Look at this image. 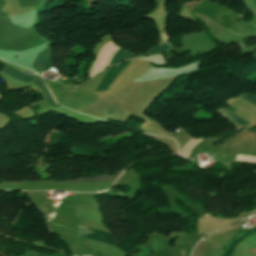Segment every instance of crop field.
Listing matches in <instances>:
<instances>
[{
	"instance_id": "crop-field-1",
	"label": "crop field",
	"mask_w": 256,
	"mask_h": 256,
	"mask_svg": "<svg viewBox=\"0 0 256 256\" xmlns=\"http://www.w3.org/2000/svg\"><path fill=\"white\" fill-rule=\"evenodd\" d=\"M218 6V4H213L210 3L208 0H204L195 9H193V12L211 18L213 12L216 10ZM236 16V14H234L231 10L227 9L226 7L219 6L217 10L214 12V15L211 20L215 21L216 23L222 25L223 27L229 30L230 23Z\"/></svg>"
},
{
	"instance_id": "crop-field-2",
	"label": "crop field",
	"mask_w": 256,
	"mask_h": 256,
	"mask_svg": "<svg viewBox=\"0 0 256 256\" xmlns=\"http://www.w3.org/2000/svg\"><path fill=\"white\" fill-rule=\"evenodd\" d=\"M79 226H83V225H79ZM79 226H78V229H79L80 237L100 241L116 247L118 246V242L111 236L109 232H105V231L94 229L87 226H85V228H83L84 226L83 227H79ZM94 253L96 254V256H109L105 253L98 252V251H94Z\"/></svg>"
},
{
	"instance_id": "crop-field-3",
	"label": "crop field",
	"mask_w": 256,
	"mask_h": 256,
	"mask_svg": "<svg viewBox=\"0 0 256 256\" xmlns=\"http://www.w3.org/2000/svg\"><path fill=\"white\" fill-rule=\"evenodd\" d=\"M133 60L114 66L109 69L108 73L106 74L105 78L98 86L96 91H105L108 90L112 83L117 79V77L123 72V70L132 62Z\"/></svg>"
},
{
	"instance_id": "crop-field-4",
	"label": "crop field",
	"mask_w": 256,
	"mask_h": 256,
	"mask_svg": "<svg viewBox=\"0 0 256 256\" xmlns=\"http://www.w3.org/2000/svg\"><path fill=\"white\" fill-rule=\"evenodd\" d=\"M169 48H170V46L168 44L157 46V47L152 48L147 55L163 53V52L168 51ZM141 56H143V55H141ZM131 57H136V56L120 49V51L114 57L110 66L115 65V64H117L125 59L131 58Z\"/></svg>"
},
{
	"instance_id": "crop-field-5",
	"label": "crop field",
	"mask_w": 256,
	"mask_h": 256,
	"mask_svg": "<svg viewBox=\"0 0 256 256\" xmlns=\"http://www.w3.org/2000/svg\"><path fill=\"white\" fill-rule=\"evenodd\" d=\"M51 58V49L41 51L37 54L32 66L38 71H46L51 64Z\"/></svg>"
},
{
	"instance_id": "crop-field-6",
	"label": "crop field",
	"mask_w": 256,
	"mask_h": 256,
	"mask_svg": "<svg viewBox=\"0 0 256 256\" xmlns=\"http://www.w3.org/2000/svg\"><path fill=\"white\" fill-rule=\"evenodd\" d=\"M3 72L7 73L8 75L17 78L19 80L25 81L29 83L31 80L35 78V76L28 74L26 72H23L19 69H16L12 66H6Z\"/></svg>"
},
{
	"instance_id": "crop-field-7",
	"label": "crop field",
	"mask_w": 256,
	"mask_h": 256,
	"mask_svg": "<svg viewBox=\"0 0 256 256\" xmlns=\"http://www.w3.org/2000/svg\"><path fill=\"white\" fill-rule=\"evenodd\" d=\"M122 171V170H121ZM120 172V171H119ZM118 172V173H119ZM117 173V174H118ZM117 174L110 176L108 174H105L103 176H98V177H93V178H78L74 181H60V182H104V181H111V180H115ZM49 182H57L54 180H51Z\"/></svg>"
},
{
	"instance_id": "crop-field-8",
	"label": "crop field",
	"mask_w": 256,
	"mask_h": 256,
	"mask_svg": "<svg viewBox=\"0 0 256 256\" xmlns=\"http://www.w3.org/2000/svg\"><path fill=\"white\" fill-rule=\"evenodd\" d=\"M216 112L223 114L222 116L230 119L231 121H233L235 124H237L238 126H242V125H249L250 123L248 121H246L245 119H243L242 117L234 114V113H230L224 109H219Z\"/></svg>"
},
{
	"instance_id": "crop-field-9",
	"label": "crop field",
	"mask_w": 256,
	"mask_h": 256,
	"mask_svg": "<svg viewBox=\"0 0 256 256\" xmlns=\"http://www.w3.org/2000/svg\"><path fill=\"white\" fill-rule=\"evenodd\" d=\"M31 83L35 84L36 86L40 87V88L43 90V92L45 93V95H46V97H47V99H48L49 104H50L54 109L58 107V106L51 100V98H50V96H49V94H48V92H47L45 86L43 85V83H42L38 78H37L36 80H34L33 82H31Z\"/></svg>"
},
{
	"instance_id": "crop-field-10",
	"label": "crop field",
	"mask_w": 256,
	"mask_h": 256,
	"mask_svg": "<svg viewBox=\"0 0 256 256\" xmlns=\"http://www.w3.org/2000/svg\"><path fill=\"white\" fill-rule=\"evenodd\" d=\"M245 129H247V128L244 127V128H242V129H240V130H238V131H236V132H234V133H232V134H230V135H228V136H225V137H223V138H221V139H219V140H217V141H215V142H213V143H211V142H210V143H211V145L214 147V146L218 145L219 143H221V142H223V141H225V140H227V139H229V138L235 136L236 134H238L239 132H241V131H243V130H245Z\"/></svg>"
},
{
	"instance_id": "crop-field-11",
	"label": "crop field",
	"mask_w": 256,
	"mask_h": 256,
	"mask_svg": "<svg viewBox=\"0 0 256 256\" xmlns=\"http://www.w3.org/2000/svg\"><path fill=\"white\" fill-rule=\"evenodd\" d=\"M242 99H245L247 101H249L250 103L254 104L256 106V96L250 93H246L243 94L241 96H239Z\"/></svg>"
}]
</instances>
